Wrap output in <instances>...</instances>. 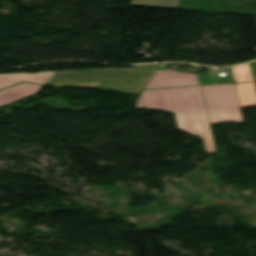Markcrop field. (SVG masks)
<instances>
[{
	"label": "crop field",
	"mask_w": 256,
	"mask_h": 256,
	"mask_svg": "<svg viewBox=\"0 0 256 256\" xmlns=\"http://www.w3.org/2000/svg\"><path fill=\"white\" fill-rule=\"evenodd\" d=\"M137 108L174 112L180 129L202 138L207 152H216L200 87L143 91Z\"/></svg>",
	"instance_id": "crop-field-1"
},
{
	"label": "crop field",
	"mask_w": 256,
	"mask_h": 256,
	"mask_svg": "<svg viewBox=\"0 0 256 256\" xmlns=\"http://www.w3.org/2000/svg\"><path fill=\"white\" fill-rule=\"evenodd\" d=\"M157 65L134 68L56 72L46 85L81 87L139 95Z\"/></svg>",
	"instance_id": "crop-field-2"
},
{
	"label": "crop field",
	"mask_w": 256,
	"mask_h": 256,
	"mask_svg": "<svg viewBox=\"0 0 256 256\" xmlns=\"http://www.w3.org/2000/svg\"><path fill=\"white\" fill-rule=\"evenodd\" d=\"M210 123L244 124L234 84L201 86Z\"/></svg>",
	"instance_id": "crop-field-3"
},
{
	"label": "crop field",
	"mask_w": 256,
	"mask_h": 256,
	"mask_svg": "<svg viewBox=\"0 0 256 256\" xmlns=\"http://www.w3.org/2000/svg\"><path fill=\"white\" fill-rule=\"evenodd\" d=\"M199 85L197 74L181 73L158 65L145 89Z\"/></svg>",
	"instance_id": "crop-field-4"
},
{
	"label": "crop field",
	"mask_w": 256,
	"mask_h": 256,
	"mask_svg": "<svg viewBox=\"0 0 256 256\" xmlns=\"http://www.w3.org/2000/svg\"><path fill=\"white\" fill-rule=\"evenodd\" d=\"M241 108L256 107V87L249 63L231 68Z\"/></svg>",
	"instance_id": "crop-field-5"
},
{
	"label": "crop field",
	"mask_w": 256,
	"mask_h": 256,
	"mask_svg": "<svg viewBox=\"0 0 256 256\" xmlns=\"http://www.w3.org/2000/svg\"><path fill=\"white\" fill-rule=\"evenodd\" d=\"M42 86L18 84L0 91V107L39 93Z\"/></svg>",
	"instance_id": "crop-field-6"
},
{
	"label": "crop field",
	"mask_w": 256,
	"mask_h": 256,
	"mask_svg": "<svg viewBox=\"0 0 256 256\" xmlns=\"http://www.w3.org/2000/svg\"><path fill=\"white\" fill-rule=\"evenodd\" d=\"M54 73L55 72H42L33 75L27 73L0 75V88L19 83L21 81L44 85Z\"/></svg>",
	"instance_id": "crop-field-7"
},
{
	"label": "crop field",
	"mask_w": 256,
	"mask_h": 256,
	"mask_svg": "<svg viewBox=\"0 0 256 256\" xmlns=\"http://www.w3.org/2000/svg\"><path fill=\"white\" fill-rule=\"evenodd\" d=\"M179 0H132L130 5L176 9Z\"/></svg>",
	"instance_id": "crop-field-8"
}]
</instances>
